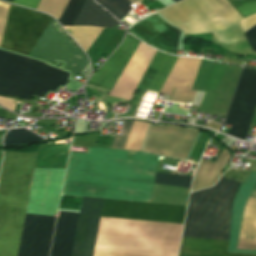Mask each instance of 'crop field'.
Returning <instances> with one entry per match:
<instances>
[{
  "label": "crop field",
  "mask_w": 256,
  "mask_h": 256,
  "mask_svg": "<svg viewBox=\"0 0 256 256\" xmlns=\"http://www.w3.org/2000/svg\"><path fill=\"white\" fill-rule=\"evenodd\" d=\"M129 32L161 51L170 54L176 52L179 31L173 29L156 15L141 21L130 28Z\"/></svg>",
  "instance_id": "13"
},
{
  "label": "crop field",
  "mask_w": 256,
  "mask_h": 256,
  "mask_svg": "<svg viewBox=\"0 0 256 256\" xmlns=\"http://www.w3.org/2000/svg\"><path fill=\"white\" fill-rule=\"evenodd\" d=\"M214 35L217 41L228 44L245 37L238 23L224 30L214 32Z\"/></svg>",
  "instance_id": "23"
},
{
  "label": "crop field",
  "mask_w": 256,
  "mask_h": 256,
  "mask_svg": "<svg viewBox=\"0 0 256 256\" xmlns=\"http://www.w3.org/2000/svg\"><path fill=\"white\" fill-rule=\"evenodd\" d=\"M230 156L229 150L224 147L215 163L202 160L195 173L192 191L212 186Z\"/></svg>",
  "instance_id": "17"
},
{
  "label": "crop field",
  "mask_w": 256,
  "mask_h": 256,
  "mask_svg": "<svg viewBox=\"0 0 256 256\" xmlns=\"http://www.w3.org/2000/svg\"><path fill=\"white\" fill-rule=\"evenodd\" d=\"M244 18L256 13V0H229ZM228 0H184L160 13L185 33H208L224 29L241 19Z\"/></svg>",
  "instance_id": "5"
},
{
  "label": "crop field",
  "mask_w": 256,
  "mask_h": 256,
  "mask_svg": "<svg viewBox=\"0 0 256 256\" xmlns=\"http://www.w3.org/2000/svg\"><path fill=\"white\" fill-rule=\"evenodd\" d=\"M118 23L108 12L92 0H86L74 25H88L113 28Z\"/></svg>",
  "instance_id": "19"
},
{
  "label": "crop field",
  "mask_w": 256,
  "mask_h": 256,
  "mask_svg": "<svg viewBox=\"0 0 256 256\" xmlns=\"http://www.w3.org/2000/svg\"><path fill=\"white\" fill-rule=\"evenodd\" d=\"M55 218L26 214L18 256H48Z\"/></svg>",
  "instance_id": "12"
},
{
  "label": "crop field",
  "mask_w": 256,
  "mask_h": 256,
  "mask_svg": "<svg viewBox=\"0 0 256 256\" xmlns=\"http://www.w3.org/2000/svg\"><path fill=\"white\" fill-rule=\"evenodd\" d=\"M134 120H124V136L115 135L111 148L124 149ZM150 123L135 121L126 150L140 151Z\"/></svg>",
  "instance_id": "18"
},
{
  "label": "crop field",
  "mask_w": 256,
  "mask_h": 256,
  "mask_svg": "<svg viewBox=\"0 0 256 256\" xmlns=\"http://www.w3.org/2000/svg\"><path fill=\"white\" fill-rule=\"evenodd\" d=\"M6 1H10L14 4H18L28 8L36 9L40 0H6Z\"/></svg>",
  "instance_id": "27"
},
{
  "label": "crop field",
  "mask_w": 256,
  "mask_h": 256,
  "mask_svg": "<svg viewBox=\"0 0 256 256\" xmlns=\"http://www.w3.org/2000/svg\"><path fill=\"white\" fill-rule=\"evenodd\" d=\"M103 201L83 197L72 256H93Z\"/></svg>",
  "instance_id": "11"
},
{
  "label": "crop field",
  "mask_w": 256,
  "mask_h": 256,
  "mask_svg": "<svg viewBox=\"0 0 256 256\" xmlns=\"http://www.w3.org/2000/svg\"><path fill=\"white\" fill-rule=\"evenodd\" d=\"M13 99H8V98H2L0 97V104L4 105L5 107H7L8 109H11L14 111L15 109V103H13Z\"/></svg>",
  "instance_id": "28"
},
{
  "label": "crop field",
  "mask_w": 256,
  "mask_h": 256,
  "mask_svg": "<svg viewBox=\"0 0 256 256\" xmlns=\"http://www.w3.org/2000/svg\"><path fill=\"white\" fill-rule=\"evenodd\" d=\"M197 134L194 128L151 126L143 150L186 159Z\"/></svg>",
  "instance_id": "9"
},
{
  "label": "crop field",
  "mask_w": 256,
  "mask_h": 256,
  "mask_svg": "<svg viewBox=\"0 0 256 256\" xmlns=\"http://www.w3.org/2000/svg\"><path fill=\"white\" fill-rule=\"evenodd\" d=\"M158 159L103 148L71 151L63 194L150 202Z\"/></svg>",
  "instance_id": "3"
},
{
  "label": "crop field",
  "mask_w": 256,
  "mask_h": 256,
  "mask_svg": "<svg viewBox=\"0 0 256 256\" xmlns=\"http://www.w3.org/2000/svg\"><path fill=\"white\" fill-rule=\"evenodd\" d=\"M65 29L86 52L103 30L94 27H66Z\"/></svg>",
  "instance_id": "20"
},
{
  "label": "crop field",
  "mask_w": 256,
  "mask_h": 256,
  "mask_svg": "<svg viewBox=\"0 0 256 256\" xmlns=\"http://www.w3.org/2000/svg\"><path fill=\"white\" fill-rule=\"evenodd\" d=\"M85 0H70L61 19L62 25H73Z\"/></svg>",
  "instance_id": "24"
},
{
  "label": "crop field",
  "mask_w": 256,
  "mask_h": 256,
  "mask_svg": "<svg viewBox=\"0 0 256 256\" xmlns=\"http://www.w3.org/2000/svg\"><path fill=\"white\" fill-rule=\"evenodd\" d=\"M202 59L179 57L161 93L171 94L174 87L192 89Z\"/></svg>",
  "instance_id": "16"
},
{
  "label": "crop field",
  "mask_w": 256,
  "mask_h": 256,
  "mask_svg": "<svg viewBox=\"0 0 256 256\" xmlns=\"http://www.w3.org/2000/svg\"><path fill=\"white\" fill-rule=\"evenodd\" d=\"M78 214L60 212L50 256H71Z\"/></svg>",
  "instance_id": "15"
},
{
  "label": "crop field",
  "mask_w": 256,
  "mask_h": 256,
  "mask_svg": "<svg viewBox=\"0 0 256 256\" xmlns=\"http://www.w3.org/2000/svg\"><path fill=\"white\" fill-rule=\"evenodd\" d=\"M94 256H135V255H124V254H112V253L95 252Z\"/></svg>",
  "instance_id": "29"
},
{
  "label": "crop field",
  "mask_w": 256,
  "mask_h": 256,
  "mask_svg": "<svg viewBox=\"0 0 256 256\" xmlns=\"http://www.w3.org/2000/svg\"><path fill=\"white\" fill-rule=\"evenodd\" d=\"M41 137L35 135L25 128L10 130L4 138L5 146L27 144L34 141H42Z\"/></svg>",
  "instance_id": "21"
},
{
  "label": "crop field",
  "mask_w": 256,
  "mask_h": 256,
  "mask_svg": "<svg viewBox=\"0 0 256 256\" xmlns=\"http://www.w3.org/2000/svg\"><path fill=\"white\" fill-rule=\"evenodd\" d=\"M156 53V50L141 42L140 46L136 50L135 54L109 95L129 100L134 90L137 89ZM177 59V56L164 54L158 51L138 87L140 90L128 113L116 116V118L133 115L144 89L149 88L160 92Z\"/></svg>",
  "instance_id": "6"
},
{
  "label": "crop field",
  "mask_w": 256,
  "mask_h": 256,
  "mask_svg": "<svg viewBox=\"0 0 256 256\" xmlns=\"http://www.w3.org/2000/svg\"><path fill=\"white\" fill-rule=\"evenodd\" d=\"M256 107V71L244 69L225 124L228 135L244 139Z\"/></svg>",
  "instance_id": "8"
},
{
  "label": "crop field",
  "mask_w": 256,
  "mask_h": 256,
  "mask_svg": "<svg viewBox=\"0 0 256 256\" xmlns=\"http://www.w3.org/2000/svg\"><path fill=\"white\" fill-rule=\"evenodd\" d=\"M192 176L157 173L155 184L190 188ZM186 207L105 199L106 218L183 224Z\"/></svg>",
  "instance_id": "7"
},
{
  "label": "crop field",
  "mask_w": 256,
  "mask_h": 256,
  "mask_svg": "<svg viewBox=\"0 0 256 256\" xmlns=\"http://www.w3.org/2000/svg\"><path fill=\"white\" fill-rule=\"evenodd\" d=\"M174 1L178 2V1H180V0H174Z\"/></svg>",
  "instance_id": "30"
},
{
  "label": "crop field",
  "mask_w": 256,
  "mask_h": 256,
  "mask_svg": "<svg viewBox=\"0 0 256 256\" xmlns=\"http://www.w3.org/2000/svg\"><path fill=\"white\" fill-rule=\"evenodd\" d=\"M141 41L127 34L121 46L89 79L88 83L112 89Z\"/></svg>",
  "instance_id": "14"
},
{
  "label": "crop field",
  "mask_w": 256,
  "mask_h": 256,
  "mask_svg": "<svg viewBox=\"0 0 256 256\" xmlns=\"http://www.w3.org/2000/svg\"><path fill=\"white\" fill-rule=\"evenodd\" d=\"M10 6L0 1V42ZM51 20L12 5L0 47L32 56ZM33 57L50 62L68 61L64 69L73 78L89 63L87 56L53 20ZM67 76L68 73L48 64L0 50V96L29 100L34 94L47 98L60 85H65Z\"/></svg>",
  "instance_id": "1"
},
{
  "label": "crop field",
  "mask_w": 256,
  "mask_h": 256,
  "mask_svg": "<svg viewBox=\"0 0 256 256\" xmlns=\"http://www.w3.org/2000/svg\"><path fill=\"white\" fill-rule=\"evenodd\" d=\"M119 20L134 6L130 0H97Z\"/></svg>",
  "instance_id": "22"
},
{
  "label": "crop field",
  "mask_w": 256,
  "mask_h": 256,
  "mask_svg": "<svg viewBox=\"0 0 256 256\" xmlns=\"http://www.w3.org/2000/svg\"><path fill=\"white\" fill-rule=\"evenodd\" d=\"M36 154L5 153L0 177V256H17Z\"/></svg>",
  "instance_id": "4"
},
{
  "label": "crop field",
  "mask_w": 256,
  "mask_h": 256,
  "mask_svg": "<svg viewBox=\"0 0 256 256\" xmlns=\"http://www.w3.org/2000/svg\"><path fill=\"white\" fill-rule=\"evenodd\" d=\"M243 32L256 25V14L239 22ZM251 48L256 52V26L244 32Z\"/></svg>",
  "instance_id": "25"
},
{
  "label": "crop field",
  "mask_w": 256,
  "mask_h": 256,
  "mask_svg": "<svg viewBox=\"0 0 256 256\" xmlns=\"http://www.w3.org/2000/svg\"><path fill=\"white\" fill-rule=\"evenodd\" d=\"M180 242L98 235L95 251L147 256H177Z\"/></svg>",
  "instance_id": "10"
},
{
  "label": "crop field",
  "mask_w": 256,
  "mask_h": 256,
  "mask_svg": "<svg viewBox=\"0 0 256 256\" xmlns=\"http://www.w3.org/2000/svg\"><path fill=\"white\" fill-rule=\"evenodd\" d=\"M255 182L256 173L250 172L241 187L240 183L221 178L213 187L193 192L183 236L229 240L232 203L240 187L233 204L227 252L256 254V251H245L256 250V196L250 197L244 210ZM251 195H256V185ZM188 237L182 239L179 256H256L226 253L228 241Z\"/></svg>",
  "instance_id": "2"
},
{
  "label": "crop field",
  "mask_w": 256,
  "mask_h": 256,
  "mask_svg": "<svg viewBox=\"0 0 256 256\" xmlns=\"http://www.w3.org/2000/svg\"><path fill=\"white\" fill-rule=\"evenodd\" d=\"M196 91H189L183 89H175L170 100L173 101H183V102H192Z\"/></svg>",
  "instance_id": "26"
}]
</instances>
